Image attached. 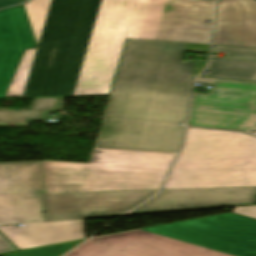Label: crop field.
Here are the masks:
<instances>
[{"mask_svg": "<svg viewBox=\"0 0 256 256\" xmlns=\"http://www.w3.org/2000/svg\"><path fill=\"white\" fill-rule=\"evenodd\" d=\"M37 48L5 97L108 96L126 38L209 44L214 0H31Z\"/></svg>", "mask_w": 256, "mask_h": 256, "instance_id": "obj_1", "label": "crop field"}, {"mask_svg": "<svg viewBox=\"0 0 256 256\" xmlns=\"http://www.w3.org/2000/svg\"><path fill=\"white\" fill-rule=\"evenodd\" d=\"M209 45L127 39L104 117L177 125L185 122L192 76L206 63L181 62Z\"/></svg>", "mask_w": 256, "mask_h": 256, "instance_id": "obj_2", "label": "crop field"}, {"mask_svg": "<svg viewBox=\"0 0 256 256\" xmlns=\"http://www.w3.org/2000/svg\"><path fill=\"white\" fill-rule=\"evenodd\" d=\"M66 256H256V220L229 213L96 237Z\"/></svg>", "mask_w": 256, "mask_h": 256, "instance_id": "obj_3", "label": "crop field"}, {"mask_svg": "<svg viewBox=\"0 0 256 256\" xmlns=\"http://www.w3.org/2000/svg\"><path fill=\"white\" fill-rule=\"evenodd\" d=\"M256 186V138L188 128L163 189Z\"/></svg>", "mask_w": 256, "mask_h": 256, "instance_id": "obj_4", "label": "crop field"}, {"mask_svg": "<svg viewBox=\"0 0 256 256\" xmlns=\"http://www.w3.org/2000/svg\"><path fill=\"white\" fill-rule=\"evenodd\" d=\"M175 156L94 149L90 164L43 161L47 193L159 189Z\"/></svg>", "mask_w": 256, "mask_h": 256, "instance_id": "obj_5", "label": "crop field"}, {"mask_svg": "<svg viewBox=\"0 0 256 256\" xmlns=\"http://www.w3.org/2000/svg\"><path fill=\"white\" fill-rule=\"evenodd\" d=\"M214 83L210 95L193 94L188 126L256 134V83L198 78Z\"/></svg>", "mask_w": 256, "mask_h": 256, "instance_id": "obj_6", "label": "crop field"}, {"mask_svg": "<svg viewBox=\"0 0 256 256\" xmlns=\"http://www.w3.org/2000/svg\"><path fill=\"white\" fill-rule=\"evenodd\" d=\"M42 161L0 163V225L45 221Z\"/></svg>", "mask_w": 256, "mask_h": 256, "instance_id": "obj_7", "label": "crop field"}, {"mask_svg": "<svg viewBox=\"0 0 256 256\" xmlns=\"http://www.w3.org/2000/svg\"><path fill=\"white\" fill-rule=\"evenodd\" d=\"M157 190L40 193L46 221L121 216Z\"/></svg>", "mask_w": 256, "mask_h": 256, "instance_id": "obj_8", "label": "crop field"}, {"mask_svg": "<svg viewBox=\"0 0 256 256\" xmlns=\"http://www.w3.org/2000/svg\"><path fill=\"white\" fill-rule=\"evenodd\" d=\"M184 128L105 118L97 148L177 153Z\"/></svg>", "mask_w": 256, "mask_h": 256, "instance_id": "obj_9", "label": "crop field"}, {"mask_svg": "<svg viewBox=\"0 0 256 256\" xmlns=\"http://www.w3.org/2000/svg\"><path fill=\"white\" fill-rule=\"evenodd\" d=\"M256 187L162 190L132 214L239 207L255 204Z\"/></svg>", "mask_w": 256, "mask_h": 256, "instance_id": "obj_10", "label": "crop field"}, {"mask_svg": "<svg viewBox=\"0 0 256 256\" xmlns=\"http://www.w3.org/2000/svg\"><path fill=\"white\" fill-rule=\"evenodd\" d=\"M34 47L24 6L0 11V99L4 98L24 50Z\"/></svg>", "mask_w": 256, "mask_h": 256, "instance_id": "obj_11", "label": "crop field"}, {"mask_svg": "<svg viewBox=\"0 0 256 256\" xmlns=\"http://www.w3.org/2000/svg\"><path fill=\"white\" fill-rule=\"evenodd\" d=\"M212 45L256 48V0H218Z\"/></svg>", "mask_w": 256, "mask_h": 256, "instance_id": "obj_12", "label": "crop field"}, {"mask_svg": "<svg viewBox=\"0 0 256 256\" xmlns=\"http://www.w3.org/2000/svg\"><path fill=\"white\" fill-rule=\"evenodd\" d=\"M20 250L84 238L83 220L0 227Z\"/></svg>", "mask_w": 256, "mask_h": 256, "instance_id": "obj_13", "label": "crop field"}, {"mask_svg": "<svg viewBox=\"0 0 256 256\" xmlns=\"http://www.w3.org/2000/svg\"><path fill=\"white\" fill-rule=\"evenodd\" d=\"M63 110L62 98L36 99L31 110L0 111V127H27L33 120H44L45 114Z\"/></svg>", "mask_w": 256, "mask_h": 256, "instance_id": "obj_14", "label": "crop field"}, {"mask_svg": "<svg viewBox=\"0 0 256 256\" xmlns=\"http://www.w3.org/2000/svg\"><path fill=\"white\" fill-rule=\"evenodd\" d=\"M206 71L211 73L205 77L256 81V62L210 58Z\"/></svg>", "mask_w": 256, "mask_h": 256, "instance_id": "obj_15", "label": "crop field"}, {"mask_svg": "<svg viewBox=\"0 0 256 256\" xmlns=\"http://www.w3.org/2000/svg\"><path fill=\"white\" fill-rule=\"evenodd\" d=\"M83 240L84 239L7 254L11 256H60Z\"/></svg>", "mask_w": 256, "mask_h": 256, "instance_id": "obj_16", "label": "crop field"}, {"mask_svg": "<svg viewBox=\"0 0 256 256\" xmlns=\"http://www.w3.org/2000/svg\"><path fill=\"white\" fill-rule=\"evenodd\" d=\"M212 52H224L227 58H240V59H255L256 49H244V48H231L215 46L212 48Z\"/></svg>", "mask_w": 256, "mask_h": 256, "instance_id": "obj_17", "label": "crop field"}, {"mask_svg": "<svg viewBox=\"0 0 256 256\" xmlns=\"http://www.w3.org/2000/svg\"><path fill=\"white\" fill-rule=\"evenodd\" d=\"M233 213L241 214L256 219V206L234 208Z\"/></svg>", "mask_w": 256, "mask_h": 256, "instance_id": "obj_18", "label": "crop field"}, {"mask_svg": "<svg viewBox=\"0 0 256 256\" xmlns=\"http://www.w3.org/2000/svg\"><path fill=\"white\" fill-rule=\"evenodd\" d=\"M17 249L0 234V253L16 251Z\"/></svg>", "mask_w": 256, "mask_h": 256, "instance_id": "obj_19", "label": "crop field"}, {"mask_svg": "<svg viewBox=\"0 0 256 256\" xmlns=\"http://www.w3.org/2000/svg\"><path fill=\"white\" fill-rule=\"evenodd\" d=\"M21 2H23V1H21V0H0V8L16 5Z\"/></svg>", "mask_w": 256, "mask_h": 256, "instance_id": "obj_20", "label": "crop field"}]
</instances>
